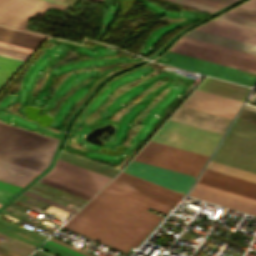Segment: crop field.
Masks as SVG:
<instances>
[{
	"mask_svg": "<svg viewBox=\"0 0 256 256\" xmlns=\"http://www.w3.org/2000/svg\"><path fill=\"white\" fill-rule=\"evenodd\" d=\"M43 37L0 27V41L35 49Z\"/></svg>",
	"mask_w": 256,
	"mask_h": 256,
	"instance_id": "16",
	"label": "crop field"
},
{
	"mask_svg": "<svg viewBox=\"0 0 256 256\" xmlns=\"http://www.w3.org/2000/svg\"><path fill=\"white\" fill-rule=\"evenodd\" d=\"M225 14H229V15H233V16H237V17H241V18L249 19V20H252V21H256V19H252V18L244 17V16H241V15H237V14H233V13H229V12H226Z\"/></svg>",
	"mask_w": 256,
	"mask_h": 256,
	"instance_id": "38",
	"label": "crop field"
},
{
	"mask_svg": "<svg viewBox=\"0 0 256 256\" xmlns=\"http://www.w3.org/2000/svg\"><path fill=\"white\" fill-rule=\"evenodd\" d=\"M116 179L121 180L123 182H126L128 184H131L133 186H136L138 188H141L143 190L149 191L151 193H154L156 195H159L161 197H164V198L169 199L171 201H174L176 203H178L180 201V199L182 198V196H183V194H180L178 192L172 191V190L164 188L162 186L153 184L151 182L145 181L143 179L137 178L135 176L129 175V174L124 173V172H122L120 175H118L116 177ZM116 179L112 180V182L117 183L119 185H122V186H124L126 188H129L131 190H134L136 192H139L141 194H144L146 196H149L151 198H154V199H156L158 201H161L163 203H166V204H168L172 207H174L176 205V203H174V202H171L169 200H166L164 198H161V197L156 196L154 194H151L149 192L143 191L141 189H138L136 187H133L131 185H128L126 183L118 181Z\"/></svg>",
	"mask_w": 256,
	"mask_h": 256,
	"instance_id": "10",
	"label": "crop field"
},
{
	"mask_svg": "<svg viewBox=\"0 0 256 256\" xmlns=\"http://www.w3.org/2000/svg\"><path fill=\"white\" fill-rule=\"evenodd\" d=\"M40 180H41V181H44V182H46V183H48V184H51V185H53V186H55V187H58V188H61V189H63V190L69 191V192H71V193L77 194V195H79V196L85 197V198H87V199L90 198V196H88V195H85V194H82V193H80V192L74 191V190H72V189L66 188V187H64V186H61V185H59V184H56V183H53V182H51V181L45 180V179H43V178H41Z\"/></svg>",
	"mask_w": 256,
	"mask_h": 256,
	"instance_id": "28",
	"label": "crop field"
},
{
	"mask_svg": "<svg viewBox=\"0 0 256 256\" xmlns=\"http://www.w3.org/2000/svg\"><path fill=\"white\" fill-rule=\"evenodd\" d=\"M239 7L251 9L256 11V0H249L246 3L240 5Z\"/></svg>",
	"mask_w": 256,
	"mask_h": 256,
	"instance_id": "35",
	"label": "crop field"
},
{
	"mask_svg": "<svg viewBox=\"0 0 256 256\" xmlns=\"http://www.w3.org/2000/svg\"><path fill=\"white\" fill-rule=\"evenodd\" d=\"M24 194L29 195V196L34 197V198H37V199H39V200H42V201H44V202H47V203L52 204V205H54V206H57V207H59V208L65 209V210L70 211V212H72V213H75V212H76V211L73 210V209H70V208L65 207V206H63V205H60V204H58V203H55V202H53V201H50V200H48V199H45V198H43V197H40V196L35 195V194H33V193H30V192H28V191L24 192Z\"/></svg>",
	"mask_w": 256,
	"mask_h": 256,
	"instance_id": "25",
	"label": "crop field"
},
{
	"mask_svg": "<svg viewBox=\"0 0 256 256\" xmlns=\"http://www.w3.org/2000/svg\"><path fill=\"white\" fill-rule=\"evenodd\" d=\"M45 1H49V2H53V3H57V4H61V5L72 7L71 5H67V4H63V3H59V2H55V1H51V0H45Z\"/></svg>",
	"mask_w": 256,
	"mask_h": 256,
	"instance_id": "39",
	"label": "crop field"
},
{
	"mask_svg": "<svg viewBox=\"0 0 256 256\" xmlns=\"http://www.w3.org/2000/svg\"><path fill=\"white\" fill-rule=\"evenodd\" d=\"M164 57L172 58L169 65L177 66L180 68L188 69L191 71L199 72L202 74L214 76L217 78L225 79L228 81L236 82L239 84L251 86L256 81V74L231 68L228 66L200 60L197 58L173 53L167 51Z\"/></svg>",
	"mask_w": 256,
	"mask_h": 256,
	"instance_id": "6",
	"label": "crop field"
},
{
	"mask_svg": "<svg viewBox=\"0 0 256 256\" xmlns=\"http://www.w3.org/2000/svg\"><path fill=\"white\" fill-rule=\"evenodd\" d=\"M198 183L256 199V183L205 169Z\"/></svg>",
	"mask_w": 256,
	"mask_h": 256,
	"instance_id": "9",
	"label": "crop field"
},
{
	"mask_svg": "<svg viewBox=\"0 0 256 256\" xmlns=\"http://www.w3.org/2000/svg\"><path fill=\"white\" fill-rule=\"evenodd\" d=\"M47 9L19 0H0V13L26 20L35 15H43Z\"/></svg>",
	"mask_w": 256,
	"mask_h": 256,
	"instance_id": "15",
	"label": "crop field"
},
{
	"mask_svg": "<svg viewBox=\"0 0 256 256\" xmlns=\"http://www.w3.org/2000/svg\"><path fill=\"white\" fill-rule=\"evenodd\" d=\"M98 1H102V0H98Z\"/></svg>",
	"mask_w": 256,
	"mask_h": 256,
	"instance_id": "41",
	"label": "crop field"
},
{
	"mask_svg": "<svg viewBox=\"0 0 256 256\" xmlns=\"http://www.w3.org/2000/svg\"><path fill=\"white\" fill-rule=\"evenodd\" d=\"M0 23L25 29L27 21L0 14Z\"/></svg>",
	"mask_w": 256,
	"mask_h": 256,
	"instance_id": "22",
	"label": "crop field"
},
{
	"mask_svg": "<svg viewBox=\"0 0 256 256\" xmlns=\"http://www.w3.org/2000/svg\"><path fill=\"white\" fill-rule=\"evenodd\" d=\"M123 171L160 184L175 191L186 193L195 176L175 172L131 160Z\"/></svg>",
	"mask_w": 256,
	"mask_h": 256,
	"instance_id": "7",
	"label": "crop field"
},
{
	"mask_svg": "<svg viewBox=\"0 0 256 256\" xmlns=\"http://www.w3.org/2000/svg\"><path fill=\"white\" fill-rule=\"evenodd\" d=\"M196 186H200V187H203V188H206V189H210V190H213V191H217V192H220V193H223V194H227V195H230V196H234V197H237V198H241V199H244V200L256 203V200L249 199V198H246V197H242V196H239V195H236V194H232V193H229V192H225V191H222V190H219V189H215V188H212V187H208V186H205V185H202V184L196 183Z\"/></svg>",
	"mask_w": 256,
	"mask_h": 256,
	"instance_id": "27",
	"label": "crop field"
},
{
	"mask_svg": "<svg viewBox=\"0 0 256 256\" xmlns=\"http://www.w3.org/2000/svg\"><path fill=\"white\" fill-rule=\"evenodd\" d=\"M171 1H174V2H177L180 4H184V5L199 9V10L209 12V13H212V12L218 10V9H215V8H212V7L197 3V2H193L190 0H171Z\"/></svg>",
	"mask_w": 256,
	"mask_h": 256,
	"instance_id": "23",
	"label": "crop field"
},
{
	"mask_svg": "<svg viewBox=\"0 0 256 256\" xmlns=\"http://www.w3.org/2000/svg\"><path fill=\"white\" fill-rule=\"evenodd\" d=\"M193 94L202 96V97H206V98H210V99H214V100H218V101H222V102H226V103H230V104H234V105H238V106H241V104H242V102L234 101L231 99L219 97L216 95L208 94V93L197 91V90H195Z\"/></svg>",
	"mask_w": 256,
	"mask_h": 256,
	"instance_id": "24",
	"label": "crop field"
},
{
	"mask_svg": "<svg viewBox=\"0 0 256 256\" xmlns=\"http://www.w3.org/2000/svg\"><path fill=\"white\" fill-rule=\"evenodd\" d=\"M0 26H1V27L10 28V29H14V30H18V31H22V32H27V33L35 34V35H39V36H43V37H46V36H47V35H44V34H39V33L31 32V31H27V30L15 28V27L3 25V24H0Z\"/></svg>",
	"mask_w": 256,
	"mask_h": 256,
	"instance_id": "36",
	"label": "crop field"
},
{
	"mask_svg": "<svg viewBox=\"0 0 256 256\" xmlns=\"http://www.w3.org/2000/svg\"><path fill=\"white\" fill-rule=\"evenodd\" d=\"M229 12H233V13L241 14V15H244V16L256 18V12L255 11H251V10H247V9H243V8H239V7H236L234 9L230 10Z\"/></svg>",
	"mask_w": 256,
	"mask_h": 256,
	"instance_id": "26",
	"label": "crop field"
},
{
	"mask_svg": "<svg viewBox=\"0 0 256 256\" xmlns=\"http://www.w3.org/2000/svg\"><path fill=\"white\" fill-rule=\"evenodd\" d=\"M23 61L0 56V67L16 71ZM13 71L0 68V88L11 77Z\"/></svg>",
	"mask_w": 256,
	"mask_h": 256,
	"instance_id": "19",
	"label": "crop field"
},
{
	"mask_svg": "<svg viewBox=\"0 0 256 256\" xmlns=\"http://www.w3.org/2000/svg\"><path fill=\"white\" fill-rule=\"evenodd\" d=\"M179 41H183V42L199 45V46H202V47L222 51V52H225V53L245 57V58H248V59L256 60V55H254V54L238 51V50H235V49L223 47V46H220V45L204 42V41H201V40H197V39H193V38H189V37H185V36H183Z\"/></svg>",
	"mask_w": 256,
	"mask_h": 256,
	"instance_id": "17",
	"label": "crop field"
},
{
	"mask_svg": "<svg viewBox=\"0 0 256 256\" xmlns=\"http://www.w3.org/2000/svg\"><path fill=\"white\" fill-rule=\"evenodd\" d=\"M212 161L256 173V124L236 118Z\"/></svg>",
	"mask_w": 256,
	"mask_h": 256,
	"instance_id": "4",
	"label": "crop field"
},
{
	"mask_svg": "<svg viewBox=\"0 0 256 256\" xmlns=\"http://www.w3.org/2000/svg\"><path fill=\"white\" fill-rule=\"evenodd\" d=\"M0 206H2V204H0Z\"/></svg>",
	"mask_w": 256,
	"mask_h": 256,
	"instance_id": "42",
	"label": "crop field"
},
{
	"mask_svg": "<svg viewBox=\"0 0 256 256\" xmlns=\"http://www.w3.org/2000/svg\"><path fill=\"white\" fill-rule=\"evenodd\" d=\"M43 178L92 196L110 178L57 160L54 168Z\"/></svg>",
	"mask_w": 256,
	"mask_h": 256,
	"instance_id": "5",
	"label": "crop field"
},
{
	"mask_svg": "<svg viewBox=\"0 0 256 256\" xmlns=\"http://www.w3.org/2000/svg\"><path fill=\"white\" fill-rule=\"evenodd\" d=\"M148 207L164 214L171 208L110 182L64 227L126 252L161 219L145 211Z\"/></svg>",
	"mask_w": 256,
	"mask_h": 256,
	"instance_id": "1",
	"label": "crop field"
},
{
	"mask_svg": "<svg viewBox=\"0 0 256 256\" xmlns=\"http://www.w3.org/2000/svg\"><path fill=\"white\" fill-rule=\"evenodd\" d=\"M216 19H220V20H224V21H228V22H232L235 24H239V25H243V26H247V27L256 29V22H252L249 20H245V19H241V18H237V17L225 15V14L217 17Z\"/></svg>",
	"mask_w": 256,
	"mask_h": 256,
	"instance_id": "20",
	"label": "crop field"
},
{
	"mask_svg": "<svg viewBox=\"0 0 256 256\" xmlns=\"http://www.w3.org/2000/svg\"><path fill=\"white\" fill-rule=\"evenodd\" d=\"M207 169L256 182V174L210 161Z\"/></svg>",
	"mask_w": 256,
	"mask_h": 256,
	"instance_id": "18",
	"label": "crop field"
},
{
	"mask_svg": "<svg viewBox=\"0 0 256 256\" xmlns=\"http://www.w3.org/2000/svg\"><path fill=\"white\" fill-rule=\"evenodd\" d=\"M0 55L25 61V59L28 57L29 54L20 52V51H16V50H12V49H8V48H4V47H0Z\"/></svg>",
	"mask_w": 256,
	"mask_h": 256,
	"instance_id": "21",
	"label": "crop field"
},
{
	"mask_svg": "<svg viewBox=\"0 0 256 256\" xmlns=\"http://www.w3.org/2000/svg\"><path fill=\"white\" fill-rule=\"evenodd\" d=\"M14 193H10L4 190H0V203L4 204L8 199H10Z\"/></svg>",
	"mask_w": 256,
	"mask_h": 256,
	"instance_id": "32",
	"label": "crop field"
},
{
	"mask_svg": "<svg viewBox=\"0 0 256 256\" xmlns=\"http://www.w3.org/2000/svg\"><path fill=\"white\" fill-rule=\"evenodd\" d=\"M193 1H197V2L206 4V5L218 8V9H220L223 6H225V5H222V4H219V3H215V2H212V1H209V0H193Z\"/></svg>",
	"mask_w": 256,
	"mask_h": 256,
	"instance_id": "34",
	"label": "crop field"
},
{
	"mask_svg": "<svg viewBox=\"0 0 256 256\" xmlns=\"http://www.w3.org/2000/svg\"><path fill=\"white\" fill-rule=\"evenodd\" d=\"M57 141L0 123V159L36 170L50 163Z\"/></svg>",
	"mask_w": 256,
	"mask_h": 256,
	"instance_id": "3",
	"label": "crop field"
},
{
	"mask_svg": "<svg viewBox=\"0 0 256 256\" xmlns=\"http://www.w3.org/2000/svg\"><path fill=\"white\" fill-rule=\"evenodd\" d=\"M212 1L219 2V3L227 5V4H229V3H231L235 0H212Z\"/></svg>",
	"mask_w": 256,
	"mask_h": 256,
	"instance_id": "37",
	"label": "crop field"
},
{
	"mask_svg": "<svg viewBox=\"0 0 256 256\" xmlns=\"http://www.w3.org/2000/svg\"><path fill=\"white\" fill-rule=\"evenodd\" d=\"M39 173L40 171L0 160V181L23 187Z\"/></svg>",
	"mask_w": 256,
	"mask_h": 256,
	"instance_id": "14",
	"label": "crop field"
},
{
	"mask_svg": "<svg viewBox=\"0 0 256 256\" xmlns=\"http://www.w3.org/2000/svg\"><path fill=\"white\" fill-rule=\"evenodd\" d=\"M222 133L168 120L151 141L210 155ZM149 141L133 160L197 176L208 156Z\"/></svg>",
	"mask_w": 256,
	"mask_h": 256,
	"instance_id": "2",
	"label": "crop field"
},
{
	"mask_svg": "<svg viewBox=\"0 0 256 256\" xmlns=\"http://www.w3.org/2000/svg\"><path fill=\"white\" fill-rule=\"evenodd\" d=\"M0 189H4L7 191L16 193L18 190L21 189V187H17V186L11 185V184L0 182Z\"/></svg>",
	"mask_w": 256,
	"mask_h": 256,
	"instance_id": "30",
	"label": "crop field"
},
{
	"mask_svg": "<svg viewBox=\"0 0 256 256\" xmlns=\"http://www.w3.org/2000/svg\"><path fill=\"white\" fill-rule=\"evenodd\" d=\"M55 1H59V2H62V0H55Z\"/></svg>",
	"mask_w": 256,
	"mask_h": 256,
	"instance_id": "40",
	"label": "crop field"
},
{
	"mask_svg": "<svg viewBox=\"0 0 256 256\" xmlns=\"http://www.w3.org/2000/svg\"><path fill=\"white\" fill-rule=\"evenodd\" d=\"M47 243H49V244H51V245H54V246H56V247H59V248H61V249H63V250H66V251H68V252H70V253H73V254H75V255H78V256H85V255H83V254H81V253H78V252H76V251H73V250H71V249H69V248H66V247H64V246H62V245H59V244H57V243H54V242H52V241H50V240H48Z\"/></svg>",
	"mask_w": 256,
	"mask_h": 256,
	"instance_id": "33",
	"label": "crop field"
},
{
	"mask_svg": "<svg viewBox=\"0 0 256 256\" xmlns=\"http://www.w3.org/2000/svg\"><path fill=\"white\" fill-rule=\"evenodd\" d=\"M23 1L31 2V3H35V4L47 6V7L57 8L61 10H64L65 8L64 6H60V5H56V4H52V3H48L40 0H23Z\"/></svg>",
	"mask_w": 256,
	"mask_h": 256,
	"instance_id": "29",
	"label": "crop field"
},
{
	"mask_svg": "<svg viewBox=\"0 0 256 256\" xmlns=\"http://www.w3.org/2000/svg\"><path fill=\"white\" fill-rule=\"evenodd\" d=\"M182 106L194 108L208 113L233 119L238 106L191 95Z\"/></svg>",
	"mask_w": 256,
	"mask_h": 256,
	"instance_id": "13",
	"label": "crop field"
},
{
	"mask_svg": "<svg viewBox=\"0 0 256 256\" xmlns=\"http://www.w3.org/2000/svg\"><path fill=\"white\" fill-rule=\"evenodd\" d=\"M169 51L197 57L200 59L228 65L231 67L251 71L256 73V61L225 54L222 52L202 48L199 46L177 41Z\"/></svg>",
	"mask_w": 256,
	"mask_h": 256,
	"instance_id": "8",
	"label": "crop field"
},
{
	"mask_svg": "<svg viewBox=\"0 0 256 256\" xmlns=\"http://www.w3.org/2000/svg\"><path fill=\"white\" fill-rule=\"evenodd\" d=\"M0 46H4V47L16 49V50H20V51H24V52H28V53H31L33 51L32 49H28V48H24V47L12 45V44H7V43H3V42H0Z\"/></svg>",
	"mask_w": 256,
	"mask_h": 256,
	"instance_id": "31",
	"label": "crop field"
},
{
	"mask_svg": "<svg viewBox=\"0 0 256 256\" xmlns=\"http://www.w3.org/2000/svg\"><path fill=\"white\" fill-rule=\"evenodd\" d=\"M196 29L204 30L207 32L215 33L218 35L226 36L256 45V30L251 28L213 19L197 27Z\"/></svg>",
	"mask_w": 256,
	"mask_h": 256,
	"instance_id": "12",
	"label": "crop field"
},
{
	"mask_svg": "<svg viewBox=\"0 0 256 256\" xmlns=\"http://www.w3.org/2000/svg\"><path fill=\"white\" fill-rule=\"evenodd\" d=\"M188 196L225 206L234 210L248 213L256 216V204L240 200L234 197L223 195L217 192L206 190L200 187H194Z\"/></svg>",
	"mask_w": 256,
	"mask_h": 256,
	"instance_id": "11",
	"label": "crop field"
}]
</instances>
